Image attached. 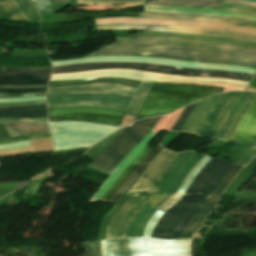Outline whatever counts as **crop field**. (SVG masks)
<instances>
[{
  "label": "crop field",
  "instance_id": "obj_1",
  "mask_svg": "<svg viewBox=\"0 0 256 256\" xmlns=\"http://www.w3.org/2000/svg\"><path fill=\"white\" fill-rule=\"evenodd\" d=\"M194 152L185 151L178 153L165 168L163 174L158 181L153 185V191L163 192L178 170L190 158ZM203 154L195 152L192 157L185 163V165L176 174L163 193L159 192H136L126 193L128 195H146V196H160L158 197H145V196H131L128 201L113 215L108 231L107 238H123L131 237L133 227L139 216L144 209L148 206L141 217L135 224L132 236H143L144 226L147 223L153 212L167 203L174 195L179 185L185 179L186 175L192 167L203 157Z\"/></svg>",
  "mask_w": 256,
  "mask_h": 256
},
{
  "label": "crop field",
  "instance_id": "obj_2",
  "mask_svg": "<svg viewBox=\"0 0 256 256\" xmlns=\"http://www.w3.org/2000/svg\"><path fill=\"white\" fill-rule=\"evenodd\" d=\"M153 84L141 82L138 88L111 83L48 87L46 102L48 107L99 106L123 109L127 110L125 115L135 117Z\"/></svg>",
  "mask_w": 256,
  "mask_h": 256
},
{
  "label": "crop field",
  "instance_id": "obj_3",
  "mask_svg": "<svg viewBox=\"0 0 256 256\" xmlns=\"http://www.w3.org/2000/svg\"><path fill=\"white\" fill-rule=\"evenodd\" d=\"M210 159L205 155L187 175L172 199L154 212L145 227L144 237L100 240L101 256H191V239L164 240L150 236L161 215L182 198L196 174Z\"/></svg>",
  "mask_w": 256,
  "mask_h": 256
},
{
  "label": "crop field",
  "instance_id": "obj_4",
  "mask_svg": "<svg viewBox=\"0 0 256 256\" xmlns=\"http://www.w3.org/2000/svg\"><path fill=\"white\" fill-rule=\"evenodd\" d=\"M234 165L217 159L209 161L197 174L183 198L162 215L151 237L179 238L189 220L206 203L222 176Z\"/></svg>",
  "mask_w": 256,
  "mask_h": 256
},
{
  "label": "crop field",
  "instance_id": "obj_5",
  "mask_svg": "<svg viewBox=\"0 0 256 256\" xmlns=\"http://www.w3.org/2000/svg\"><path fill=\"white\" fill-rule=\"evenodd\" d=\"M103 55L149 56L201 63L234 64L256 68V56L228 51H209L169 46L130 44L104 45L98 51L84 57Z\"/></svg>",
  "mask_w": 256,
  "mask_h": 256
},
{
  "label": "crop field",
  "instance_id": "obj_6",
  "mask_svg": "<svg viewBox=\"0 0 256 256\" xmlns=\"http://www.w3.org/2000/svg\"><path fill=\"white\" fill-rule=\"evenodd\" d=\"M223 90L222 87L205 85L155 83L135 120L165 115L208 95L223 92Z\"/></svg>",
  "mask_w": 256,
  "mask_h": 256
},
{
  "label": "crop field",
  "instance_id": "obj_7",
  "mask_svg": "<svg viewBox=\"0 0 256 256\" xmlns=\"http://www.w3.org/2000/svg\"><path fill=\"white\" fill-rule=\"evenodd\" d=\"M116 39L117 42L114 43H146L200 49H221L256 55V42L233 38L145 31L129 37H116Z\"/></svg>",
  "mask_w": 256,
  "mask_h": 256
},
{
  "label": "crop field",
  "instance_id": "obj_8",
  "mask_svg": "<svg viewBox=\"0 0 256 256\" xmlns=\"http://www.w3.org/2000/svg\"><path fill=\"white\" fill-rule=\"evenodd\" d=\"M161 117L162 116L134 122L109 146L101 151L90 166L110 174L120 160L144 138Z\"/></svg>",
  "mask_w": 256,
  "mask_h": 256
},
{
  "label": "crop field",
  "instance_id": "obj_9",
  "mask_svg": "<svg viewBox=\"0 0 256 256\" xmlns=\"http://www.w3.org/2000/svg\"><path fill=\"white\" fill-rule=\"evenodd\" d=\"M108 68H127L136 69L150 72L168 73L176 75L186 76H199V77H223L233 78L239 80L249 81L252 77L251 74L235 73V72H223L212 70H200V69H183L174 68L162 65L145 64V63H96V64H73L61 67H53V73H67L75 71H84L92 69H108Z\"/></svg>",
  "mask_w": 256,
  "mask_h": 256
},
{
  "label": "crop field",
  "instance_id": "obj_10",
  "mask_svg": "<svg viewBox=\"0 0 256 256\" xmlns=\"http://www.w3.org/2000/svg\"><path fill=\"white\" fill-rule=\"evenodd\" d=\"M49 116L59 115V121H87L119 126L126 111L98 107L48 108Z\"/></svg>",
  "mask_w": 256,
  "mask_h": 256
},
{
  "label": "crop field",
  "instance_id": "obj_11",
  "mask_svg": "<svg viewBox=\"0 0 256 256\" xmlns=\"http://www.w3.org/2000/svg\"><path fill=\"white\" fill-rule=\"evenodd\" d=\"M169 26H143V25H135V24H105V25H96L97 30L104 29H130V30H153V31H161ZM163 31H174V32H184V33H193L197 34L198 29L195 28H187V27H177L171 26ZM202 35H213V36H225V37H233L245 40L256 41V36L229 32V31H218V30H206L199 29V33Z\"/></svg>",
  "mask_w": 256,
  "mask_h": 256
},
{
  "label": "crop field",
  "instance_id": "obj_12",
  "mask_svg": "<svg viewBox=\"0 0 256 256\" xmlns=\"http://www.w3.org/2000/svg\"><path fill=\"white\" fill-rule=\"evenodd\" d=\"M239 94L240 92L221 94L219 100L207 115L197 135L212 139L220 122L225 117L231 106L234 104Z\"/></svg>",
  "mask_w": 256,
  "mask_h": 256
},
{
  "label": "crop field",
  "instance_id": "obj_13",
  "mask_svg": "<svg viewBox=\"0 0 256 256\" xmlns=\"http://www.w3.org/2000/svg\"><path fill=\"white\" fill-rule=\"evenodd\" d=\"M241 166L235 165L231 170H229L217 185L214 193L210 196L208 202L201 208V210L190 220L189 224L183 231L180 238H191L197 229L200 227L203 220L206 218L210 210L216 205L220 198L221 193L228 185L230 180L236 175Z\"/></svg>",
  "mask_w": 256,
  "mask_h": 256
},
{
  "label": "crop field",
  "instance_id": "obj_14",
  "mask_svg": "<svg viewBox=\"0 0 256 256\" xmlns=\"http://www.w3.org/2000/svg\"><path fill=\"white\" fill-rule=\"evenodd\" d=\"M95 24L103 23H137V24H154V25H177V26H193L212 29L225 30L229 25L206 23L197 21L169 20V19H153V18H103L94 19Z\"/></svg>",
  "mask_w": 256,
  "mask_h": 256
},
{
  "label": "crop field",
  "instance_id": "obj_15",
  "mask_svg": "<svg viewBox=\"0 0 256 256\" xmlns=\"http://www.w3.org/2000/svg\"><path fill=\"white\" fill-rule=\"evenodd\" d=\"M248 95L249 93L241 92L239 98L221 122L213 139L228 141L239 118L252 103Z\"/></svg>",
  "mask_w": 256,
  "mask_h": 256
},
{
  "label": "crop field",
  "instance_id": "obj_16",
  "mask_svg": "<svg viewBox=\"0 0 256 256\" xmlns=\"http://www.w3.org/2000/svg\"><path fill=\"white\" fill-rule=\"evenodd\" d=\"M175 153L164 149L148 166L137 183L128 191H149L163 167L173 158Z\"/></svg>",
  "mask_w": 256,
  "mask_h": 256
},
{
  "label": "crop field",
  "instance_id": "obj_17",
  "mask_svg": "<svg viewBox=\"0 0 256 256\" xmlns=\"http://www.w3.org/2000/svg\"><path fill=\"white\" fill-rule=\"evenodd\" d=\"M255 101L240 118L230 140L255 142L256 140V92L250 95Z\"/></svg>",
  "mask_w": 256,
  "mask_h": 256
},
{
  "label": "crop field",
  "instance_id": "obj_18",
  "mask_svg": "<svg viewBox=\"0 0 256 256\" xmlns=\"http://www.w3.org/2000/svg\"><path fill=\"white\" fill-rule=\"evenodd\" d=\"M50 74L39 75H0V85H32L47 84ZM46 88L0 89V93L45 91Z\"/></svg>",
  "mask_w": 256,
  "mask_h": 256
},
{
  "label": "crop field",
  "instance_id": "obj_19",
  "mask_svg": "<svg viewBox=\"0 0 256 256\" xmlns=\"http://www.w3.org/2000/svg\"><path fill=\"white\" fill-rule=\"evenodd\" d=\"M155 136L153 129L147 134V136L128 154V156L117 166V168L112 172L108 179L103 183V185L98 189L95 195L90 201L99 200L102 195L111 187V185L116 181L121 172L129 165V163L139 154V152L150 142V140Z\"/></svg>",
  "mask_w": 256,
  "mask_h": 256
},
{
  "label": "crop field",
  "instance_id": "obj_20",
  "mask_svg": "<svg viewBox=\"0 0 256 256\" xmlns=\"http://www.w3.org/2000/svg\"><path fill=\"white\" fill-rule=\"evenodd\" d=\"M219 96L220 94L199 101L191 112L184 127L180 132L196 135L206 115L208 114Z\"/></svg>",
  "mask_w": 256,
  "mask_h": 256
},
{
  "label": "crop field",
  "instance_id": "obj_21",
  "mask_svg": "<svg viewBox=\"0 0 256 256\" xmlns=\"http://www.w3.org/2000/svg\"><path fill=\"white\" fill-rule=\"evenodd\" d=\"M144 11L151 12H180V13H194V14H208L235 17L246 20H256V15L222 11V10H211V9H199V8H176V7H165V6H144Z\"/></svg>",
  "mask_w": 256,
  "mask_h": 256
},
{
  "label": "crop field",
  "instance_id": "obj_22",
  "mask_svg": "<svg viewBox=\"0 0 256 256\" xmlns=\"http://www.w3.org/2000/svg\"><path fill=\"white\" fill-rule=\"evenodd\" d=\"M219 2L256 8V2L246 0H153L147 5H177L217 9Z\"/></svg>",
  "mask_w": 256,
  "mask_h": 256
},
{
  "label": "crop field",
  "instance_id": "obj_23",
  "mask_svg": "<svg viewBox=\"0 0 256 256\" xmlns=\"http://www.w3.org/2000/svg\"><path fill=\"white\" fill-rule=\"evenodd\" d=\"M139 17H154V18H169V19H184V20H198L207 22H217V23H238L245 20L217 17V16H207V15H194V14H179V13H150V12H140Z\"/></svg>",
  "mask_w": 256,
  "mask_h": 256
},
{
  "label": "crop field",
  "instance_id": "obj_24",
  "mask_svg": "<svg viewBox=\"0 0 256 256\" xmlns=\"http://www.w3.org/2000/svg\"><path fill=\"white\" fill-rule=\"evenodd\" d=\"M47 117L45 105L25 107H0V118Z\"/></svg>",
  "mask_w": 256,
  "mask_h": 256
},
{
  "label": "crop field",
  "instance_id": "obj_25",
  "mask_svg": "<svg viewBox=\"0 0 256 256\" xmlns=\"http://www.w3.org/2000/svg\"><path fill=\"white\" fill-rule=\"evenodd\" d=\"M161 149L162 147L158 144V146L143 159V161L137 166V168L109 201L116 202L135 183L148 163L161 151Z\"/></svg>",
  "mask_w": 256,
  "mask_h": 256
},
{
  "label": "crop field",
  "instance_id": "obj_26",
  "mask_svg": "<svg viewBox=\"0 0 256 256\" xmlns=\"http://www.w3.org/2000/svg\"><path fill=\"white\" fill-rule=\"evenodd\" d=\"M152 150L150 147H146L131 163L130 165L123 171V173L119 176L117 181L112 185V187L106 192V194L102 197L101 200L108 201L114 193L118 190V188L122 185V183L126 180V178L131 174V172L136 168V166L141 162V160Z\"/></svg>",
  "mask_w": 256,
  "mask_h": 256
},
{
  "label": "crop field",
  "instance_id": "obj_27",
  "mask_svg": "<svg viewBox=\"0 0 256 256\" xmlns=\"http://www.w3.org/2000/svg\"><path fill=\"white\" fill-rule=\"evenodd\" d=\"M4 125L10 136L48 130L47 123H9Z\"/></svg>",
  "mask_w": 256,
  "mask_h": 256
},
{
  "label": "crop field",
  "instance_id": "obj_28",
  "mask_svg": "<svg viewBox=\"0 0 256 256\" xmlns=\"http://www.w3.org/2000/svg\"><path fill=\"white\" fill-rule=\"evenodd\" d=\"M2 9L6 12L9 18L13 21H29L26 16L19 9L14 0L0 3Z\"/></svg>",
  "mask_w": 256,
  "mask_h": 256
},
{
  "label": "crop field",
  "instance_id": "obj_29",
  "mask_svg": "<svg viewBox=\"0 0 256 256\" xmlns=\"http://www.w3.org/2000/svg\"><path fill=\"white\" fill-rule=\"evenodd\" d=\"M50 73V69H16V68H1L0 74H38Z\"/></svg>",
  "mask_w": 256,
  "mask_h": 256
},
{
  "label": "crop field",
  "instance_id": "obj_30",
  "mask_svg": "<svg viewBox=\"0 0 256 256\" xmlns=\"http://www.w3.org/2000/svg\"><path fill=\"white\" fill-rule=\"evenodd\" d=\"M47 136H50L48 132H42V133H34V134H28V135H23V136L0 138V144L12 143V142L21 141V140H27V139L39 138V137H47Z\"/></svg>",
  "mask_w": 256,
  "mask_h": 256
},
{
  "label": "crop field",
  "instance_id": "obj_31",
  "mask_svg": "<svg viewBox=\"0 0 256 256\" xmlns=\"http://www.w3.org/2000/svg\"><path fill=\"white\" fill-rule=\"evenodd\" d=\"M195 104V103H194ZM194 104L186 107L184 109V111L182 112V114L180 115V117L178 118V120L175 122V124L173 125L171 131L172 132H176L178 133L181 129V127L183 126V124L185 123L187 117L189 116ZM196 105V104H195Z\"/></svg>",
  "mask_w": 256,
  "mask_h": 256
},
{
  "label": "crop field",
  "instance_id": "obj_32",
  "mask_svg": "<svg viewBox=\"0 0 256 256\" xmlns=\"http://www.w3.org/2000/svg\"><path fill=\"white\" fill-rule=\"evenodd\" d=\"M145 0H79V2H102V3H125L144 4ZM79 4H101V3H79Z\"/></svg>",
  "mask_w": 256,
  "mask_h": 256
},
{
  "label": "crop field",
  "instance_id": "obj_33",
  "mask_svg": "<svg viewBox=\"0 0 256 256\" xmlns=\"http://www.w3.org/2000/svg\"><path fill=\"white\" fill-rule=\"evenodd\" d=\"M219 8L237 10V11H244V12H250V13H255L256 14V9H254V8H248V7H243V6L231 5V4L220 3Z\"/></svg>",
  "mask_w": 256,
  "mask_h": 256
},
{
  "label": "crop field",
  "instance_id": "obj_34",
  "mask_svg": "<svg viewBox=\"0 0 256 256\" xmlns=\"http://www.w3.org/2000/svg\"><path fill=\"white\" fill-rule=\"evenodd\" d=\"M44 93H45V92L0 94V98H13V97L39 96V95H44Z\"/></svg>",
  "mask_w": 256,
  "mask_h": 256
},
{
  "label": "crop field",
  "instance_id": "obj_35",
  "mask_svg": "<svg viewBox=\"0 0 256 256\" xmlns=\"http://www.w3.org/2000/svg\"><path fill=\"white\" fill-rule=\"evenodd\" d=\"M227 30L230 31H237V32H243V33H249V34H255L256 35V29L254 28H248V27H240V26H234L230 25Z\"/></svg>",
  "mask_w": 256,
  "mask_h": 256
},
{
  "label": "crop field",
  "instance_id": "obj_36",
  "mask_svg": "<svg viewBox=\"0 0 256 256\" xmlns=\"http://www.w3.org/2000/svg\"><path fill=\"white\" fill-rule=\"evenodd\" d=\"M45 104L44 100L34 102H23V103H0V106H24V105H38Z\"/></svg>",
  "mask_w": 256,
  "mask_h": 256
},
{
  "label": "crop field",
  "instance_id": "obj_37",
  "mask_svg": "<svg viewBox=\"0 0 256 256\" xmlns=\"http://www.w3.org/2000/svg\"><path fill=\"white\" fill-rule=\"evenodd\" d=\"M26 9L33 15L34 18L38 17V13L29 0H20Z\"/></svg>",
  "mask_w": 256,
  "mask_h": 256
},
{
  "label": "crop field",
  "instance_id": "obj_38",
  "mask_svg": "<svg viewBox=\"0 0 256 256\" xmlns=\"http://www.w3.org/2000/svg\"><path fill=\"white\" fill-rule=\"evenodd\" d=\"M40 179L39 180H33L30 182L25 194H33L34 190L36 189L38 183H39Z\"/></svg>",
  "mask_w": 256,
  "mask_h": 256
},
{
  "label": "crop field",
  "instance_id": "obj_39",
  "mask_svg": "<svg viewBox=\"0 0 256 256\" xmlns=\"http://www.w3.org/2000/svg\"><path fill=\"white\" fill-rule=\"evenodd\" d=\"M9 121H47V118H36V119H0V122Z\"/></svg>",
  "mask_w": 256,
  "mask_h": 256
},
{
  "label": "crop field",
  "instance_id": "obj_40",
  "mask_svg": "<svg viewBox=\"0 0 256 256\" xmlns=\"http://www.w3.org/2000/svg\"><path fill=\"white\" fill-rule=\"evenodd\" d=\"M15 2L18 4L20 9L23 11V13L28 17L29 20L33 19V17L30 15V13L25 9V7L22 5V3L19 0H15Z\"/></svg>",
  "mask_w": 256,
  "mask_h": 256
},
{
  "label": "crop field",
  "instance_id": "obj_41",
  "mask_svg": "<svg viewBox=\"0 0 256 256\" xmlns=\"http://www.w3.org/2000/svg\"><path fill=\"white\" fill-rule=\"evenodd\" d=\"M91 79H96V78H89V79H77V80H67V81H56V82H50L49 84L80 82V81H87V80H91Z\"/></svg>",
  "mask_w": 256,
  "mask_h": 256
},
{
  "label": "crop field",
  "instance_id": "obj_42",
  "mask_svg": "<svg viewBox=\"0 0 256 256\" xmlns=\"http://www.w3.org/2000/svg\"><path fill=\"white\" fill-rule=\"evenodd\" d=\"M235 25H241V26H248V27H254L256 28V22H244V23H239Z\"/></svg>",
  "mask_w": 256,
  "mask_h": 256
},
{
  "label": "crop field",
  "instance_id": "obj_43",
  "mask_svg": "<svg viewBox=\"0 0 256 256\" xmlns=\"http://www.w3.org/2000/svg\"><path fill=\"white\" fill-rule=\"evenodd\" d=\"M97 80H117V81L129 82L137 85L139 84V81L124 80V79H97Z\"/></svg>",
  "mask_w": 256,
  "mask_h": 256
},
{
  "label": "crop field",
  "instance_id": "obj_44",
  "mask_svg": "<svg viewBox=\"0 0 256 256\" xmlns=\"http://www.w3.org/2000/svg\"><path fill=\"white\" fill-rule=\"evenodd\" d=\"M69 0H52V2L54 3L55 7L64 4L66 2H68Z\"/></svg>",
  "mask_w": 256,
  "mask_h": 256
},
{
  "label": "crop field",
  "instance_id": "obj_45",
  "mask_svg": "<svg viewBox=\"0 0 256 256\" xmlns=\"http://www.w3.org/2000/svg\"><path fill=\"white\" fill-rule=\"evenodd\" d=\"M248 87L256 88V75L254 76L252 82L248 85Z\"/></svg>",
  "mask_w": 256,
  "mask_h": 256
},
{
  "label": "crop field",
  "instance_id": "obj_46",
  "mask_svg": "<svg viewBox=\"0 0 256 256\" xmlns=\"http://www.w3.org/2000/svg\"><path fill=\"white\" fill-rule=\"evenodd\" d=\"M27 183H28V181L19 182L18 185H17V187H16V189L20 188L21 186H23V185H25V184H27ZM16 189H15V190H16Z\"/></svg>",
  "mask_w": 256,
  "mask_h": 256
},
{
  "label": "crop field",
  "instance_id": "obj_47",
  "mask_svg": "<svg viewBox=\"0 0 256 256\" xmlns=\"http://www.w3.org/2000/svg\"><path fill=\"white\" fill-rule=\"evenodd\" d=\"M150 0H146V2L145 3H147V2H149Z\"/></svg>",
  "mask_w": 256,
  "mask_h": 256
},
{
  "label": "crop field",
  "instance_id": "obj_48",
  "mask_svg": "<svg viewBox=\"0 0 256 256\" xmlns=\"http://www.w3.org/2000/svg\"><path fill=\"white\" fill-rule=\"evenodd\" d=\"M3 1H5V0H0V2H3Z\"/></svg>",
  "mask_w": 256,
  "mask_h": 256
},
{
  "label": "crop field",
  "instance_id": "obj_49",
  "mask_svg": "<svg viewBox=\"0 0 256 256\" xmlns=\"http://www.w3.org/2000/svg\"><path fill=\"white\" fill-rule=\"evenodd\" d=\"M77 4H78V0H77Z\"/></svg>",
  "mask_w": 256,
  "mask_h": 256
},
{
  "label": "crop field",
  "instance_id": "obj_50",
  "mask_svg": "<svg viewBox=\"0 0 256 256\" xmlns=\"http://www.w3.org/2000/svg\"><path fill=\"white\" fill-rule=\"evenodd\" d=\"M254 1H256V0H254Z\"/></svg>",
  "mask_w": 256,
  "mask_h": 256
},
{
  "label": "crop field",
  "instance_id": "obj_51",
  "mask_svg": "<svg viewBox=\"0 0 256 256\" xmlns=\"http://www.w3.org/2000/svg\"><path fill=\"white\" fill-rule=\"evenodd\" d=\"M256 144V143H255Z\"/></svg>",
  "mask_w": 256,
  "mask_h": 256
}]
</instances>
